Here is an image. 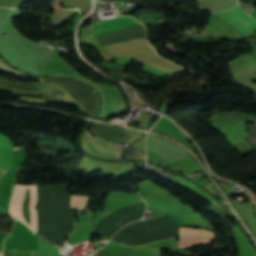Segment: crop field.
Masks as SVG:
<instances>
[{
  "label": "crop field",
  "instance_id": "obj_11",
  "mask_svg": "<svg viewBox=\"0 0 256 256\" xmlns=\"http://www.w3.org/2000/svg\"><path fill=\"white\" fill-rule=\"evenodd\" d=\"M0 256H1V253H0Z\"/></svg>",
  "mask_w": 256,
  "mask_h": 256
},
{
  "label": "crop field",
  "instance_id": "obj_8",
  "mask_svg": "<svg viewBox=\"0 0 256 256\" xmlns=\"http://www.w3.org/2000/svg\"><path fill=\"white\" fill-rule=\"evenodd\" d=\"M38 242L41 256H63L59 253L58 247L52 246L40 238H38Z\"/></svg>",
  "mask_w": 256,
  "mask_h": 256
},
{
  "label": "crop field",
  "instance_id": "obj_9",
  "mask_svg": "<svg viewBox=\"0 0 256 256\" xmlns=\"http://www.w3.org/2000/svg\"><path fill=\"white\" fill-rule=\"evenodd\" d=\"M27 0H0V6H6V7H17L19 5H22Z\"/></svg>",
  "mask_w": 256,
  "mask_h": 256
},
{
  "label": "crop field",
  "instance_id": "obj_5",
  "mask_svg": "<svg viewBox=\"0 0 256 256\" xmlns=\"http://www.w3.org/2000/svg\"><path fill=\"white\" fill-rule=\"evenodd\" d=\"M212 126L224 134L228 144L247 141L245 127L243 123L222 122L218 124H212Z\"/></svg>",
  "mask_w": 256,
  "mask_h": 256
},
{
  "label": "crop field",
  "instance_id": "obj_1",
  "mask_svg": "<svg viewBox=\"0 0 256 256\" xmlns=\"http://www.w3.org/2000/svg\"><path fill=\"white\" fill-rule=\"evenodd\" d=\"M52 52L53 55L45 60L39 67H37L34 72L48 75L64 74L73 77H79L89 82L94 87H96L103 96V116H109L125 111L126 106L124 104V100L116 87L101 85L82 77L78 72L70 67L53 49Z\"/></svg>",
  "mask_w": 256,
  "mask_h": 256
},
{
  "label": "crop field",
  "instance_id": "obj_7",
  "mask_svg": "<svg viewBox=\"0 0 256 256\" xmlns=\"http://www.w3.org/2000/svg\"><path fill=\"white\" fill-rule=\"evenodd\" d=\"M214 241H216V238L213 237L179 236V244L181 248L192 247L197 244Z\"/></svg>",
  "mask_w": 256,
  "mask_h": 256
},
{
  "label": "crop field",
  "instance_id": "obj_3",
  "mask_svg": "<svg viewBox=\"0 0 256 256\" xmlns=\"http://www.w3.org/2000/svg\"><path fill=\"white\" fill-rule=\"evenodd\" d=\"M82 146L88 154L95 157L110 160L122 159L120 153L116 152L110 143L90 136L87 131L82 137Z\"/></svg>",
  "mask_w": 256,
  "mask_h": 256
},
{
  "label": "crop field",
  "instance_id": "obj_2",
  "mask_svg": "<svg viewBox=\"0 0 256 256\" xmlns=\"http://www.w3.org/2000/svg\"><path fill=\"white\" fill-rule=\"evenodd\" d=\"M211 15L233 28L243 37L251 36L256 28V21L241 10L238 5L232 9L218 11Z\"/></svg>",
  "mask_w": 256,
  "mask_h": 256
},
{
  "label": "crop field",
  "instance_id": "obj_4",
  "mask_svg": "<svg viewBox=\"0 0 256 256\" xmlns=\"http://www.w3.org/2000/svg\"><path fill=\"white\" fill-rule=\"evenodd\" d=\"M136 25H140V23L132 17L119 16L104 21L93 22V34L96 35Z\"/></svg>",
  "mask_w": 256,
  "mask_h": 256
},
{
  "label": "crop field",
  "instance_id": "obj_10",
  "mask_svg": "<svg viewBox=\"0 0 256 256\" xmlns=\"http://www.w3.org/2000/svg\"><path fill=\"white\" fill-rule=\"evenodd\" d=\"M0 69L8 71V72H12L14 73L15 71L12 70L11 68L7 67L1 60H0Z\"/></svg>",
  "mask_w": 256,
  "mask_h": 256
},
{
  "label": "crop field",
  "instance_id": "obj_6",
  "mask_svg": "<svg viewBox=\"0 0 256 256\" xmlns=\"http://www.w3.org/2000/svg\"><path fill=\"white\" fill-rule=\"evenodd\" d=\"M155 131L167 134L177 141L185 144L189 142V140L182 135L166 118H162L160 121H158L152 128Z\"/></svg>",
  "mask_w": 256,
  "mask_h": 256
}]
</instances>
